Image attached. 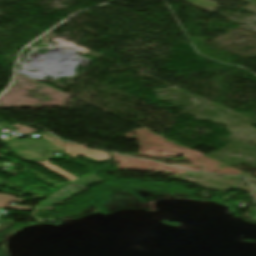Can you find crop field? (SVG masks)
<instances>
[{"mask_svg":"<svg viewBox=\"0 0 256 256\" xmlns=\"http://www.w3.org/2000/svg\"><path fill=\"white\" fill-rule=\"evenodd\" d=\"M41 136L45 138L42 141L16 140L6 144L15 157L20 158L24 162L33 160L70 182L78 179L54 165H49L50 162L44 158L54 157L53 152L60 150H63L74 159H76L78 155L86 156V158L90 157L93 161H105L110 157L108 153L88 150L84 145L68 142H65L64 144L51 134H41ZM38 151L40 152L39 154H37ZM42 159L45 160V163L41 162Z\"/></svg>","mask_w":256,"mask_h":256,"instance_id":"obj_1","label":"crop field"},{"mask_svg":"<svg viewBox=\"0 0 256 256\" xmlns=\"http://www.w3.org/2000/svg\"><path fill=\"white\" fill-rule=\"evenodd\" d=\"M10 201L21 203L24 200L23 199H17L14 196H7V195H0V207L8 208L7 203Z\"/></svg>","mask_w":256,"mask_h":256,"instance_id":"obj_2","label":"crop field"},{"mask_svg":"<svg viewBox=\"0 0 256 256\" xmlns=\"http://www.w3.org/2000/svg\"><path fill=\"white\" fill-rule=\"evenodd\" d=\"M10 209H14V210H24V211H30V210H31V208L19 207V206H11Z\"/></svg>","mask_w":256,"mask_h":256,"instance_id":"obj_3","label":"crop field"}]
</instances>
